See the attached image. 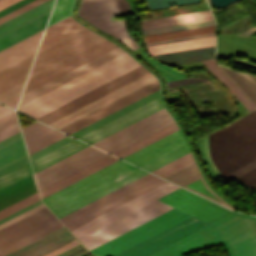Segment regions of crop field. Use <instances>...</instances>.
<instances>
[{
	"label": "crop field",
	"mask_w": 256,
	"mask_h": 256,
	"mask_svg": "<svg viewBox=\"0 0 256 256\" xmlns=\"http://www.w3.org/2000/svg\"><path fill=\"white\" fill-rule=\"evenodd\" d=\"M166 182L143 195L71 230L89 251L172 209L156 199L177 189Z\"/></svg>",
	"instance_id": "crop-field-1"
},
{
	"label": "crop field",
	"mask_w": 256,
	"mask_h": 256,
	"mask_svg": "<svg viewBox=\"0 0 256 256\" xmlns=\"http://www.w3.org/2000/svg\"><path fill=\"white\" fill-rule=\"evenodd\" d=\"M222 242L229 256H256V217L233 212L150 256H165L167 252L182 253L215 242ZM211 244L176 255L187 256L221 244Z\"/></svg>",
	"instance_id": "crop-field-2"
},
{
	"label": "crop field",
	"mask_w": 256,
	"mask_h": 256,
	"mask_svg": "<svg viewBox=\"0 0 256 256\" xmlns=\"http://www.w3.org/2000/svg\"><path fill=\"white\" fill-rule=\"evenodd\" d=\"M72 239L45 207L0 230V256H40Z\"/></svg>",
	"instance_id": "crop-field-3"
},
{
	"label": "crop field",
	"mask_w": 256,
	"mask_h": 256,
	"mask_svg": "<svg viewBox=\"0 0 256 256\" xmlns=\"http://www.w3.org/2000/svg\"><path fill=\"white\" fill-rule=\"evenodd\" d=\"M146 173L119 160L47 196L42 201L59 218Z\"/></svg>",
	"instance_id": "crop-field-4"
},
{
	"label": "crop field",
	"mask_w": 256,
	"mask_h": 256,
	"mask_svg": "<svg viewBox=\"0 0 256 256\" xmlns=\"http://www.w3.org/2000/svg\"><path fill=\"white\" fill-rule=\"evenodd\" d=\"M212 161L223 175L256 158V111L210 134Z\"/></svg>",
	"instance_id": "crop-field-5"
},
{
	"label": "crop field",
	"mask_w": 256,
	"mask_h": 256,
	"mask_svg": "<svg viewBox=\"0 0 256 256\" xmlns=\"http://www.w3.org/2000/svg\"><path fill=\"white\" fill-rule=\"evenodd\" d=\"M138 65L125 53L18 107V111L35 118Z\"/></svg>",
	"instance_id": "crop-field-6"
},
{
	"label": "crop field",
	"mask_w": 256,
	"mask_h": 256,
	"mask_svg": "<svg viewBox=\"0 0 256 256\" xmlns=\"http://www.w3.org/2000/svg\"><path fill=\"white\" fill-rule=\"evenodd\" d=\"M164 182L148 173L59 219L70 230Z\"/></svg>",
	"instance_id": "crop-field-7"
},
{
	"label": "crop field",
	"mask_w": 256,
	"mask_h": 256,
	"mask_svg": "<svg viewBox=\"0 0 256 256\" xmlns=\"http://www.w3.org/2000/svg\"><path fill=\"white\" fill-rule=\"evenodd\" d=\"M129 13L130 5L126 0H99L82 3L78 15L88 23L117 37L134 50L140 46L127 34L124 20L111 22L109 18Z\"/></svg>",
	"instance_id": "crop-field-8"
},
{
	"label": "crop field",
	"mask_w": 256,
	"mask_h": 256,
	"mask_svg": "<svg viewBox=\"0 0 256 256\" xmlns=\"http://www.w3.org/2000/svg\"><path fill=\"white\" fill-rule=\"evenodd\" d=\"M106 38L84 29L38 52L29 78Z\"/></svg>",
	"instance_id": "crop-field-9"
},
{
	"label": "crop field",
	"mask_w": 256,
	"mask_h": 256,
	"mask_svg": "<svg viewBox=\"0 0 256 256\" xmlns=\"http://www.w3.org/2000/svg\"><path fill=\"white\" fill-rule=\"evenodd\" d=\"M191 215L176 208L91 250L93 254L111 256Z\"/></svg>",
	"instance_id": "crop-field-10"
},
{
	"label": "crop field",
	"mask_w": 256,
	"mask_h": 256,
	"mask_svg": "<svg viewBox=\"0 0 256 256\" xmlns=\"http://www.w3.org/2000/svg\"><path fill=\"white\" fill-rule=\"evenodd\" d=\"M189 151L179 130L123 159L151 171Z\"/></svg>",
	"instance_id": "crop-field-11"
},
{
	"label": "crop field",
	"mask_w": 256,
	"mask_h": 256,
	"mask_svg": "<svg viewBox=\"0 0 256 256\" xmlns=\"http://www.w3.org/2000/svg\"><path fill=\"white\" fill-rule=\"evenodd\" d=\"M172 122L173 119L163 108L92 145L112 153Z\"/></svg>",
	"instance_id": "crop-field-12"
},
{
	"label": "crop field",
	"mask_w": 256,
	"mask_h": 256,
	"mask_svg": "<svg viewBox=\"0 0 256 256\" xmlns=\"http://www.w3.org/2000/svg\"><path fill=\"white\" fill-rule=\"evenodd\" d=\"M150 73L142 65L37 117L36 119L48 124L146 74Z\"/></svg>",
	"instance_id": "crop-field-13"
},
{
	"label": "crop field",
	"mask_w": 256,
	"mask_h": 256,
	"mask_svg": "<svg viewBox=\"0 0 256 256\" xmlns=\"http://www.w3.org/2000/svg\"><path fill=\"white\" fill-rule=\"evenodd\" d=\"M53 0H49L0 25V37L49 13ZM48 14L1 37L0 51L43 29Z\"/></svg>",
	"instance_id": "crop-field-14"
},
{
	"label": "crop field",
	"mask_w": 256,
	"mask_h": 256,
	"mask_svg": "<svg viewBox=\"0 0 256 256\" xmlns=\"http://www.w3.org/2000/svg\"><path fill=\"white\" fill-rule=\"evenodd\" d=\"M208 223L193 216L190 218L114 255V256H148L153 252L192 233Z\"/></svg>",
	"instance_id": "crop-field-15"
},
{
	"label": "crop field",
	"mask_w": 256,
	"mask_h": 256,
	"mask_svg": "<svg viewBox=\"0 0 256 256\" xmlns=\"http://www.w3.org/2000/svg\"><path fill=\"white\" fill-rule=\"evenodd\" d=\"M107 155L108 154L104 152L88 146L35 173L39 189H42Z\"/></svg>",
	"instance_id": "crop-field-16"
},
{
	"label": "crop field",
	"mask_w": 256,
	"mask_h": 256,
	"mask_svg": "<svg viewBox=\"0 0 256 256\" xmlns=\"http://www.w3.org/2000/svg\"><path fill=\"white\" fill-rule=\"evenodd\" d=\"M158 200L183 210L208 223L232 212L181 188L159 198Z\"/></svg>",
	"instance_id": "crop-field-17"
},
{
	"label": "crop field",
	"mask_w": 256,
	"mask_h": 256,
	"mask_svg": "<svg viewBox=\"0 0 256 256\" xmlns=\"http://www.w3.org/2000/svg\"><path fill=\"white\" fill-rule=\"evenodd\" d=\"M107 40L28 79L24 93L117 47L113 43L109 42L110 40Z\"/></svg>",
	"instance_id": "crop-field-18"
},
{
	"label": "crop field",
	"mask_w": 256,
	"mask_h": 256,
	"mask_svg": "<svg viewBox=\"0 0 256 256\" xmlns=\"http://www.w3.org/2000/svg\"><path fill=\"white\" fill-rule=\"evenodd\" d=\"M159 89L157 79L124 95L123 97L91 112L90 114L60 128L59 130L64 131L68 134L114 112L115 110Z\"/></svg>",
	"instance_id": "crop-field-19"
},
{
	"label": "crop field",
	"mask_w": 256,
	"mask_h": 256,
	"mask_svg": "<svg viewBox=\"0 0 256 256\" xmlns=\"http://www.w3.org/2000/svg\"><path fill=\"white\" fill-rule=\"evenodd\" d=\"M161 108H163L161 98L158 97L78 138L91 144Z\"/></svg>",
	"instance_id": "crop-field-20"
},
{
	"label": "crop field",
	"mask_w": 256,
	"mask_h": 256,
	"mask_svg": "<svg viewBox=\"0 0 256 256\" xmlns=\"http://www.w3.org/2000/svg\"><path fill=\"white\" fill-rule=\"evenodd\" d=\"M164 178L175 182L193 192L199 193L217 203L234 209L207 187L195 162Z\"/></svg>",
	"instance_id": "crop-field-21"
},
{
	"label": "crop field",
	"mask_w": 256,
	"mask_h": 256,
	"mask_svg": "<svg viewBox=\"0 0 256 256\" xmlns=\"http://www.w3.org/2000/svg\"><path fill=\"white\" fill-rule=\"evenodd\" d=\"M154 79H156V77L153 76L150 73V74H148V75H146V76H144V77H142V78H140V79H138V80H136V81H134V82H132V83H130V84H128V85H126V86H124V87H122V88H120V89H118V90H116V91H114V92L96 100V101H94V102H92V103H90V104H88V105H86V106H84V107H82V108H80V109H78V110H76V111H74V112H72V113L54 121V122H52V123H50L49 125L58 129L59 127H61L65 124H67V123H69V122H71V121H73V120H75V119H77V118H79V117H81V116H83V115H85V114H87V113H89V112L107 104L108 102H110V101H112V100H114V99H116V98H118V97H120V96H122V95H124V94H126V93H128V92H130V91H132V90H134V89L152 81V80H154Z\"/></svg>",
	"instance_id": "crop-field-22"
},
{
	"label": "crop field",
	"mask_w": 256,
	"mask_h": 256,
	"mask_svg": "<svg viewBox=\"0 0 256 256\" xmlns=\"http://www.w3.org/2000/svg\"><path fill=\"white\" fill-rule=\"evenodd\" d=\"M42 31L1 51L0 71L36 52Z\"/></svg>",
	"instance_id": "crop-field-23"
},
{
	"label": "crop field",
	"mask_w": 256,
	"mask_h": 256,
	"mask_svg": "<svg viewBox=\"0 0 256 256\" xmlns=\"http://www.w3.org/2000/svg\"><path fill=\"white\" fill-rule=\"evenodd\" d=\"M120 49L121 48L118 47V48H116V49H114V50H112V51H110V52H108V53H106V54H104V55H102V56H100V57H98V58H96V59L78 67V68H76V69H74V70H72L71 72H69V73H67V74H65V75H63V76H61V77H59V78H57V79H55V80H53L49 83L37 88V89L25 94V95H23L21 97V99L30 95V94H32V93H34V92H36V91H38V90H40V89H42V88H44V87H46V86H48V85H50V84H52V83H54V82H56V81H58V80H60V79H62V78H64V77H66V76H68V75H70V74H72V73H74V72H76V71H78V70H80V69H82V68H84V67H86V66H88V65H90V64H92V63H94V62H96V61H98V60H100V59H102V58H104V57H106V56H108V55H110V54H112V53H114V52H116V51H118V50H120ZM123 53H125V51L121 50V51H119V52H117V53H115V54H113V55H111V56H109V57H107V58H105V59H103V60H101V61H99V62H97V63L79 71V72H77V73H75V74H73L72 76H70V77H68V78H66V79H64V80H62V81H60V82H58V83H56L52 86L40 91V92L22 100V101L20 100L19 106L28 102V101H30V100H32V99H34V98H36V97H38V96H40V95H42V94H44V93H46V92H48V91H50V90H52V89H54V88H56V87H58V86H60V85H62V84H64V83H66V82H68V81H70L71 79H73V78H75V77H77V76H79V75H81L85 72H87V71H89V70H91V69H93V68H95V67H97V66H99V65H101V64H103V63H105V62H107V61H109V60H111V59H113L117 56H119V55H121V54H123Z\"/></svg>",
	"instance_id": "crop-field-24"
},
{
	"label": "crop field",
	"mask_w": 256,
	"mask_h": 256,
	"mask_svg": "<svg viewBox=\"0 0 256 256\" xmlns=\"http://www.w3.org/2000/svg\"><path fill=\"white\" fill-rule=\"evenodd\" d=\"M213 19L209 10L192 12L186 14L172 15L167 17H160L148 20L139 21L141 25V29H151L158 28L164 26H171L183 23H190L196 21H203Z\"/></svg>",
	"instance_id": "crop-field-25"
},
{
	"label": "crop field",
	"mask_w": 256,
	"mask_h": 256,
	"mask_svg": "<svg viewBox=\"0 0 256 256\" xmlns=\"http://www.w3.org/2000/svg\"><path fill=\"white\" fill-rule=\"evenodd\" d=\"M84 28L86 27L75 21L71 16L48 27L44 34L39 51Z\"/></svg>",
	"instance_id": "crop-field-26"
},
{
	"label": "crop field",
	"mask_w": 256,
	"mask_h": 256,
	"mask_svg": "<svg viewBox=\"0 0 256 256\" xmlns=\"http://www.w3.org/2000/svg\"><path fill=\"white\" fill-rule=\"evenodd\" d=\"M117 160L118 159L109 155V156H107V157H105V158H103V159H101V160H99V161H97V162H95V163H93V164L75 172L74 174H72V175H70V176H68V177H66V178H64V179H62V180L44 188L42 190H40L41 197L43 198V197H45V196H47V195H49V194H51V193H53V192H55L59 189H61L65 186H67V185H69V184H71V183H73V182H75V181H77V180H79V179H81V178H83V177H85V176H87V175H89V174H91V173H93V172H95V171H97V170H99V169L117 161Z\"/></svg>",
	"instance_id": "crop-field-27"
},
{
	"label": "crop field",
	"mask_w": 256,
	"mask_h": 256,
	"mask_svg": "<svg viewBox=\"0 0 256 256\" xmlns=\"http://www.w3.org/2000/svg\"><path fill=\"white\" fill-rule=\"evenodd\" d=\"M35 192L37 190L33 176L0 191V210Z\"/></svg>",
	"instance_id": "crop-field-28"
},
{
	"label": "crop field",
	"mask_w": 256,
	"mask_h": 256,
	"mask_svg": "<svg viewBox=\"0 0 256 256\" xmlns=\"http://www.w3.org/2000/svg\"><path fill=\"white\" fill-rule=\"evenodd\" d=\"M153 57L168 65L211 59L214 58V46L154 55Z\"/></svg>",
	"instance_id": "crop-field-29"
},
{
	"label": "crop field",
	"mask_w": 256,
	"mask_h": 256,
	"mask_svg": "<svg viewBox=\"0 0 256 256\" xmlns=\"http://www.w3.org/2000/svg\"><path fill=\"white\" fill-rule=\"evenodd\" d=\"M87 145L77 141V140H72L56 149L53 151L31 161L33 172H36L84 147Z\"/></svg>",
	"instance_id": "crop-field-30"
},
{
	"label": "crop field",
	"mask_w": 256,
	"mask_h": 256,
	"mask_svg": "<svg viewBox=\"0 0 256 256\" xmlns=\"http://www.w3.org/2000/svg\"><path fill=\"white\" fill-rule=\"evenodd\" d=\"M27 156L21 134L0 142V169Z\"/></svg>",
	"instance_id": "crop-field-31"
},
{
	"label": "crop field",
	"mask_w": 256,
	"mask_h": 256,
	"mask_svg": "<svg viewBox=\"0 0 256 256\" xmlns=\"http://www.w3.org/2000/svg\"><path fill=\"white\" fill-rule=\"evenodd\" d=\"M33 55L0 72V92L25 80Z\"/></svg>",
	"instance_id": "crop-field-32"
},
{
	"label": "crop field",
	"mask_w": 256,
	"mask_h": 256,
	"mask_svg": "<svg viewBox=\"0 0 256 256\" xmlns=\"http://www.w3.org/2000/svg\"><path fill=\"white\" fill-rule=\"evenodd\" d=\"M214 45V36L147 47L150 55Z\"/></svg>",
	"instance_id": "crop-field-33"
},
{
	"label": "crop field",
	"mask_w": 256,
	"mask_h": 256,
	"mask_svg": "<svg viewBox=\"0 0 256 256\" xmlns=\"http://www.w3.org/2000/svg\"><path fill=\"white\" fill-rule=\"evenodd\" d=\"M203 62L209 71H211L217 79L228 88L238 100L246 107V109L251 112L256 109V106L238 89V87L219 69L216 65L215 60H205Z\"/></svg>",
	"instance_id": "crop-field-34"
},
{
	"label": "crop field",
	"mask_w": 256,
	"mask_h": 256,
	"mask_svg": "<svg viewBox=\"0 0 256 256\" xmlns=\"http://www.w3.org/2000/svg\"><path fill=\"white\" fill-rule=\"evenodd\" d=\"M176 130H178V127L174 122V123L162 128V129H160V130H158V131H156V132H154V133H152V134H150V135H148V136H146V137H144V138H142V139L112 153V154L122 158V157H124V156H126V155H128V154H130V153H132V152H134V151H136V150H138V149H140V148H142V147H144V146H146V145H148V144H150V143H152V142H154V141H156V140H158Z\"/></svg>",
	"instance_id": "crop-field-35"
},
{
	"label": "crop field",
	"mask_w": 256,
	"mask_h": 256,
	"mask_svg": "<svg viewBox=\"0 0 256 256\" xmlns=\"http://www.w3.org/2000/svg\"><path fill=\"white\" fill-rule=\"evenodd\" d=\"M159 95H160V92H159V90H157V91H155V92H153V93H151V94H149V95H147V96H145V97H143V98H141V99H139V100H137V101H135V102L119 109V110H117V111H115L114 113H112V114H110V115H108V116H106V117H104V118H102V119H100V120L82 128V129L72 133L71 135L77 137V136H79V135H81V134H83V133H85V132H87V131H89V130H91V129H93V128H95V127H97V126H99V125H101V124H103V123H105V122H107V121H109V120H111V119H113V118H115V117H117V116H119V115H121V114H123V113H125V112H127V111H129V110H131V109H133V108H135V107L153 99V98H155V97H157V96H159Z\"/></svg>",
	"instance_id": "crop-field-36"
},
{
	"label": "crop field",
	"mask_w": 256,
	"mask_h": 256,
	"mask_svg": "<svg viewBox=\"0 0 256 256\" xmlns=\"http://www.w3.org/2000/svg\"><path fill=\"white\" fill-rule=\"evenodd\" d=\"M221 67V66H220ZM234 82L256 103V76L221 67Z\"/></svg>",
	"instance_id": "crop-field-37"
},
{
	"label": "crop field",
	"mask_w": 256,
	"mask_h": 256,
	"mask_svg": "<svg viewBox=\"0 0 256 256\" xmlns=\"http://www.w3.org/2000/svg\"><path fill=\"white\" fill-rule=\"evenodd\" d=\"M20 132L15 113L0 107V141Z\"/></svg>",
	"instance_id": "crop-field-38"
},
{
	"label": "crop field",
	"mask_w": 256,
	"mask_h": 256,
	"mask_svg": "<svg viewBox=\"0 0 256 256\" xmlns=\"http://www.w3.org/2000/svg\"><path fill=\"white\" fill-rule=\"evenodd\" d=\"M212 32H215V25L209 26V27L197 28V29H190V30H184V31H178V32L146 36L145 41L149 42V41L165 40V39L179 38V37L199 35V34L212 33Z\"/></svg>",
	"instance_id": "crop-field-39"
},
{
	"label": "crop field",
	"mask_w": 256,
	"mask_h": 256,
	"mask_svg": "<svg viewBox=\"0 0 256 256\" xmlns=\"http://www.w3.org/2000/svg\"><path fill=\"white\" fill-rule=\"evenodd\" d=\"M74 0H56L48 26L69 16Z\"/></svg>",
	"instance_id": "crop-field-40"
},
{
	"label": "crop field",
	"mask_w": 256,
	"mask_h": 256,
	"mask_svg": "<svg viewBox=\"0 0 256 256\" xmlns=\"http://www.w3.org/2000/svg\"><path fill=\"white\" fill-rule=\"evenodd\" d=\"M193 161L194 160L192 158L191 153H188V154H186V155H184V156H182V157H180V158H178V159H176V160H174V161H172V162H170L152 172L163 177V176H165V175H167V174H169V173H171V172H173V171H175Z\"/></svg>",
	"instance_id": "crop-field-41"
},
{
	"label": "crop field",
	"mask_w": 256,
	"mask_h": 256,
	"mask_svg": "<svg viewBox=\"0 0 256 256\" xmlns=\"http://www.w3.org/2000/svg\"><path fill=\"white\" fill-rule=\"evenodd\" d=\"M30 164H27L0 178V190L31 175Z\"/></svg>",
	"instance_id": "crop-field-42"
},
{
	"label": "crop field",
	"mask_w": 256,
	"mask_h": 256,
	"mask_svg": "<svg viewBox=\"0 0 256 256\" xmlns=\"http://www.w3.org/2000/svg\"><path fill=\"white\" fill-rule=\"evenodd\" d=\"M38 200H40L39 195H38V193H35V194H33V195H31V196L13 204V205L3 209L2 211H0V219L18 211V210H20L24 207H26V206H28V205H30V204L38 201Z\"/></svg>",
	"instance_id": "crop-field-43"
},
{
	"label": "crop field",
	"mask_w": 256,
	"mask_h": 256,
	"mask_svg": "<svg viewBox=\"0 0 256 256\" xmlns=\"http://www.w3.org/2000/svg\"><path fill=\"white\" fill-rule=\"evenodd\" d=\"M215 24L214 20L142 31L143 35Z\"/></svg>",
	"instance_id": "crop-field-44"
},
{
	"label": "crop field",
	"mask_w": 256,
	"mask_h": 256,
	"mask_svg": "<svg viewBox=\"0 0 256 256\" xmlns=\"http://www.w3.org/2000/svg\"><path fill=\"white\" fill-rule=\"evenodd\" d=\"M45 1H47V0H34V1L24 5L22 7H20L16 10L0 17V24L9 20V19H11V18H13V17H15V16H17V15H19V14H21V13H23V12H25V11H27V10H29V9H31V8H33V7H35V6H37V5H39V4H41V3H43V2H45Z\"/></svg>",
	"instance_id": "crop-field-45"
},
{
	"label": "crop field",
	"mask_w": 256,
	"mask_h": 256,
	"mask_svg": "<svg viewBox=\"0 0 256 256\" xmlns=\"http://www.w3.org/2000/svg\"><path fill=\"white\" fill-rule=\"evenodd\" d=\"M72 139L73 138H71L69 136H66V137H64V138H62V139H60V140H58V141H56V142H54V143H52L50 145H48V146L38 150V151L30 154V156H29L30 160H33V159H35V158H37V157H39V156H41V155L51 151L52 149H54V148H56V147H58V146H60V145H62L64 143L72 140Z\"/></svg>",
	"instance_id": "crop-field-46"
},
{
	"label": "crop field",
	"mask_w": 256,
	"mask_h": 256,
	"mask_svg": "<svg viewBox=\"0 0 256 256\" xmlns=\"http://www.w3.org/2000/svg\"><path fill=\"white\" fill-rule=\"evenodd\" d=\"M23 82L0 93V102L6 103L20 95Z\"/></svg>",
	"instance_id": "crop-field-47"
},
{
	"label": "crop field",
	"mask_w": 256,
	"mask_h": 256,
	"mask_svg": "<svg viewBox=\"0 0 256 256\" xmlns=\"http://www.w3.org/2000/svg\"><path fill=\"white\" fill-rule=\"evenodd\" d=\"M255 167H256V159L251 161V162H249L248 164H246V165L236 169L235 171L225 175L224 177L227 180L231 181V180L237 178L238 176H240V175H242V174H244V173L254 169Z\"/></svg>",
	"instance_id": "crop-field-48"
},
{
	"label": "crop field",
	"mask_w": 256,
	"mask_h": 256,
	"mask_svg": "<svg viewBox=\"0 0 256 256\" xmlns=\"http://www.w3.org/2000/svg\"><path fill=\"white\" fill-rule=\"evenodd\" d=\"M43 207H45V206H44V204L42 203V204H40V205H38V206H36V207H34V208H32V209L26 211V212H24V213H22V214H20V215H18V216H16V217H14L13 219H11V220H9V221H7V222L1 224V225H0V229L6 227V226H8V225H10L11 223H13V222H15V221H17V220H19V219H21V218H23V217H25V216L31 214V213H33V212H35V211H37V210L43 208Z\"/></svg>",
	"instance_id": "crop-field-49"
},
{
	"label": "crop field",
	"mask_w": 256,
	"mask_h": 256,
	"mask_svg": "<svg viewBox=\"0 0 256 256\" xmlns=\"http://www.w3.org/2000/svg\"><path fill=\"white\" fill-rule=\"evenodd\" d=\"M78 244H80V243L75 239V240H73V241H71V242H69V243H67V244H65V245H63V246L45 254V255H43V256H56V255L66 251V250H68V249H70V248H72V247H74Z\"/></svg>",
	"instance_id": "crop-field-50"
},
{
	"label": "crop field",
	"mask_w": 256,
	"mask_h": 256,
	"mask_svg": "<svg viewBox=\"0 0 256 256\" xmlns=\"http://www.w3.org/2000/svg\"><path fill=\"white\" fill-rule=\"evenodd\" d=\"M242 181L248 184L250 187H256V169L244 174L243 176L239 177ZM251 188V189H252Z\"/></svg>",
	"instance_id": "crop-field-51"
},
{
	"label": "crop field",
	"mask_w": 256,
	"mask_h": 256,
	"mask_svg": "<svg viewBox=\"0 0 256 256\" xmlns=\"http://www.w3.org/2000/svg\"><path fill=\"white\" fill-rule=\"evenodd\" d=\"M28 162H29V161H28V157H25V158H23V159H21V160L15 162V163H13V164H11V165H9V166H7V167L1 169V170H0V176H2V175H4V174H6V173H8V172H10V171H12V170L18 168V167H20V166H22V165H24V164H26V163H28Z\"/></svg>",
	"instance_id": "crop-field-52"
},
{
	"label": "crop field",
	"mask_w": 256,
	"mask_h": 256,
	"mask_svg": "<svg viewBox=\"0 0 256 256\" xmlns=\"http://www.w3.org/2000/svg\"><path fill=\"white\" fill-rule=\"evenodd\" d=\"M214 34H215V33H212V34H205V35H199V36H192V37H185V38H179V39H172V40H165V41L149 42V43H146V45H147V46H150V45H156V44H162V43H168V42H174V41H180V40H187V39H193V38L211 36V35H214Z\"/></svg>",
	"instance_id": "crop-field-53"
},
{
	"label": "crop field",
	"mask_w": 256,
	"mask_h": 256,
	"mask_svg": "<svg viewBox=\"0 0 256 256\" xmlns=\"http://www.w3.org/2000/svg\"><path fill=\"white\" fill-rule=\"evenodd\" d=\"M30 1H32V0H21V1L17 2V3L5 8V9L1 10L0 11V16L4 15V14H6V13H8V12H10V11H12V10L28 3V2H30Z\"/></svg>",
	"instance_id": "crop-field-54"
},
{
	"label": "crop field",
	"mask_w": 256,
	"mask_h": 256,
	"mask_svg": "<svg viewBox=\"0 0 256 256\" xmlns=\"http://www.w3.org/2000/svg\"><path fill=\"white\" fill-rule=\"evenodd\" d=\"M40 203H42V202H41V201H38V202H36V203H34V204H32V205H30V206L24 208V209H22V210H20V211H18V212H16V213H14V214H12V215H10V216H8V217H6V218L0 220V224L3 223V222H5V221H7V220H9V219H11L12 217H14V216H16V215H18V214H20V213H22V212H24V211L30 209V208H32V207H34V206L40 204Z\"/></svg>",
	"instance_id": "crop-field-55"
},
{
	"label": "crop field",
	"mask_w": 256,
	"mask_h": 256,
	"mask_svg": "<svg viewBox=\"0 0 256 256\" xmlns=\"http://www.w3.org/2000/svg\"><path fill=\"white\" fill-rule=\"evenodd\" d=\"M192 79L201 80V79H198V78H189V79H183V80L170 81V82H167V84L176 83V82H181V81H186V80H192ZM201 81L206 82L205 80H201ZM192 82H199V81L192 80V81H186V82H181V83H176V84H170V85H168V86H171V85H178V84H185V83H192Z\"/></svg>",
	"instance_id": "crop-field-56"
},
{
	"label": "crop field",
	"mask_w": 256,
	"mask_h": 256,
	"mask_svg": "<svg viewBox=\"0 0 256 256\" xmlns=\"http://www.w3.org/2000/svg\"><path fill=\"white\" fill-rule=\"evenodd\" d=\"M16 1H18V0H0V9H2Z\"/></svg>",
	"instance_id": "crop-field-57"
},
{
	"label": "crop field",
	"mask_w": 256,
	"mask_h": 256,
	"mask_svg": "<svg viewBox=\"0 0 256 256\" xmlns=\"http://www.w3.org/2000/svg\"><path fill=\"white\" fill-rule=\"evenodd\" d=\"M17 101H18V98L13 100V101H11V102H9V103H7L6 105H8V106H10V107L15 109Z\"/></svg>",
	"instance_id": "crop-field-58"
},
{
	"label": "crop field",
	"mask_w": 256,
	"mask_h": 256,
	"mask_svg": "<svg viewBox=\"0 0 256 256\" xmlns=\"http://www.w3.org/2000/svg\"><path fill=\"white\" fill-rule=\"evenodd\" d=\"M254 31H256V27H254V28H252V29H250V30H248V31H246V32H244V33H242V34H240V35H242V36H247V35L253 33Z\"/></svg>",
	"instance_id": "crop-field-59"
},
{
	"label": "crop field",
	"mask_w": 256,
	"mask_h": 256,
	"mask_svg": "<svg viewBox=\"0 0 256 256\" xmlns=\"http://www.w3.org/2000/svg\"><path fill=\"white\" fill-rule=\"evenodd\" d=\"M85 1H92V0H83L82 2H85Z\"/></svg>",
	"instance_id": "crop-field-60"
},
{
	"label": "crop field",
	"mask_w": 256,
	"mask_h": 256,
	"mask_svg": "<svg viewBox=\"0 0 256 256\" xmlns=\"http://www.w3.org/2000/svg\"><path fill=\"white\" fill-rule=\"evenodd\" d=\"M1 106V105H0Z\"/></svg>",
	"instance_id": "crop-field-61"
}]
</instances>
